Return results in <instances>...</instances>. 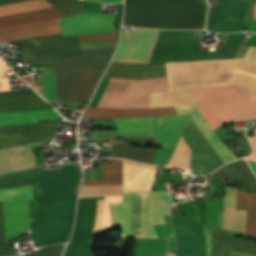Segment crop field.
<instances>
[{"label": "crop field", "instance_id": "crop-field-1", "mask_svg": "<svg viewBox=\"0 0 256 256\" xmlns=\"http://www.w3.org/2000/svg\"><path fill=\"white\" fill-rule=\"evenodd\" d=\"M177 241L176 253H166L168 238L138 239L134 256H207L208 240L205 228L195 218H171ZM219 256H228L230 241L227 233L217 231ZM231 251L256 256V243L234 240Z\"/></svg>", "mask_w": 256, "mask_h": 256}, {"label": "crop field", "instance_id": "crop-field-2", "mask_svg": "<svg viewBox=\"0 0 256 256\" xmlns=\"http://www.w3.org/2000/svg\"><path fill=\"white\" fill-rule=\"evenodd\" d=\"M114 49L79 50V56L55 58L57 102H88Z\"/></svg>", "mask_w": 256, "mask_h": 256}, {"label": "crop field", "instance_id": "crop-field-3", "mask_svg": "<svg viewBox=\"0 0 256 256\" xmlns=\"http://www.w3.org/2000/svg\"><path fill=\"white\" fill-rule=\"evenodd\" d=\"M203 0H126L123 25L201 29Z\"/></svg>", "mask_w": 256, "mask_h": 256}, {"label": "crop field", "instance_id": "crop-field-4", "mask_svg": "<svg viewBox=\"0 0 256 256\" xmlns=\"http://www.w3.org/2000/svg\"><path fill=\"white\" fill-rule=\"evenodd\" d=\"M171 205L169 192H123L122 203L110 204L112 221L121 236L159 238L152 225L165 223Z\"/></svg>", "mask_w": 256, "mask_h": 256}, {"label": "crop field", "instance_id": "crop-field-5", "mask_svg": "<svg viewBox=\"0 0 256 256\" xmlns=\"http://www.w3.org/2000/svg\"><path fill=\"white\" fill-rule=\"evenodd\" d=\"M200 102L198 110L212 127L251 120L256 103L232 85L188 89Z\"/></svg>", "mask_w": 256, "mask_h": 256}, {"label": "crop field", "instance_id": "crop-field-6", "mask_svg": "<svg viewBox=\"0 0 256 256\" xmlns=\"http://www.w3.org/2000/svg\"><path fill=\"white\" fill-rule=\"evenodd\" d=\"M76 193L38 196L31 235L36 245L66 242L72 226Z\"/></svg>", "mask_w": 256, "mask_h": 256}, {"label": "crop field", "instance_id": "crop-field-7", "mask_svg": "<svg viewBox=\"0 0 256 256\" xmlns=\"http://www.w3.org/2000/svg\"><path fill=\"white\" fill-rule=\"evenodd\" d=\"M241 34H229L223 51L196 52L198 31L160 30L149 63L233 59Z\"/></svg>", "mask_w": 256, "mask_h": 256}, {"label": "crop field", "instance_id": "crop-field-8", "mask_svg": "<svg viewBox=\"0 0 256 256\" xmlns=\"http://www.w3.org/2000/svg\"><path fill=\"white\" fill-rule=\"evenodd\" d=\"M193 114V113H192ZM193 122L224 161L225 164L238 159L220 140V138L211 129L199 111L195 110L192 118ZM190 119L184 133L183 137L193 149L198 158L202 161L208 171H212L214 168L224 165L222 160L215 153L213 148L195 126V124ZM192 152V159L190 165L197 172L198 175H204L209 173L204 165L200 162L197 156Z\"/></svg>", "mask_w": 256, "mask_h": 256}, {"label": "crop field", "instance_id": "crop-field-9", "mask_svg": "<svg viewBox=\"0 0 256 256\" xmlns=\"http://www.w3.org/2000/svg\"><path fill=\"white\" fill-rule=\"evenodd\" d=\"M80 181L78 165L44 171L43 166L0 176V187L35 183L36 195L75 192Z\"/></svg>", "mask_w": 256, "mask_h": 256}, {"label": "crop field", "instance_id": "crop-field-10", "mask_svg": "<svg viewBox=\"0 0 256 256\" xmlns=\"http://www.w3.org/2000/svg\"><path fill=\"white\" fill-rule=\"evenodd\" d=\"M164 91H168L167 77L143 80L111 79L97 107H149V93Z\"/></svg>", "mask_w": 256, "mask_h": 256}, {"label": "crop field", "instance_id": "crop-field-11", "mask_svg": "<svg viewBox=\"0 0 256 256\" xmlns=\"http://www.w3.org/2000/svg\"><path fill=\"white\" fill-rule=\"evenodd\" d=\"M33 200L32 186L0 189V202ZM6 241L29 228L27 201L3 203ZM3 208L0 204V256L10 255L3 232Z\"/></svg>", "mask_w": 256, "mask_h": 256}, {"label": "crop field", "instance_id": "crop-field-12", "mask_svg": "<svg viewBox=\"0 0 256 256\" xmlns=\"http://www.w3.org/2000/svg\"><path fill=\"white\" fill-rule=\"evenodd\" d=\"M52 109L36 96L26 93H0V111ZM62 117L54 109L0 112V126L34 123L37 120Z\"/></svg>", "mask_w": 256, "mask_h": 256}, {"label": "crop field", "instance_id": "crop-field-13", "mask_svg": "<svg viewBox=\"0 0 256 256\" xmlns=\"http://www.w3.org/2000/svg\"><path fill=\"white\" fill-rule=\"evenodd\" d=\"M236 189L227 185L224 196L223 229L244 233L247 210L235 211ZM245 233L256 236V195L237 189L236 209H246Z\"/></svg>", "mask_w": 256, "mask_h": 256}, {"label": "crop field", "instance_id": "crop-field-14", "mask_svg": "<svg viewBox=\"0 0 256 256\" xmlns=\"http://www.w3.org/2000/svg\"><path fill=\"white\" fill-rule=\"evenodd\" d=\"M104 198L105 197L79 199L76 224H75L73 236L70 242L90 239L94 234L99 232V230L97 229L100 228V224L102 220L104 200H98L97 206H96V200L104 199ZM115 202H121V196L106 197L103 221H102V226L100 231L103 229L112 227L109 203H115ZM95 206H96V214H95ZM94 214H95V221H94ZM93 221H94V227H93ZM92 227H93V232L95 230L97 231L91 234Z\"/></svg>", "mask_w": 256, "mask_h": 256}, {"label": "crop field", "instance_id": "crop-field-15", "mask_svg": "<svg viewBox=\"0 0 256 256\" xmlns=\"http://www.w3.org/2000/svg\"><path fill=\"white\" fill-rule=\"evenodd\" d=\"M53 7L46 0H30L10 5L0 6V16L15 13L33 11L38 9ZM55 8L38 10L33 12L21 13L16 15L0 17V28L12 27L17 25L35 23L51 19L63 18Z\"/></svg>", "mask_w": 256, "mask_h": 256}, {"label": "crop field", "instance_id": "crop-field-16", "mask_svg": "<svg viewBox=\"0 0 256 256\" xmlns=\"http://www.w3.org/2000/svg\"><path fill=\"white\" fill-rule=\"evenodd\" d=\"M159 30L135 28L122 32L113 62L148 63Z\"/></svg>", "mask_w": 256, "mask_h": 256}, {"label": "crop field", "instance_id": "crop-field-17", "mask_svg": "<svg viewBox=\"0 0 256 256\" xmlns=\"http://www.w3.org/2000/svg\"><path fill=\"white\" fill-rule=\"evenodd\" d=\"M35 45L26 49V61L33 64L54 63V57L78 55L77 36L62 37V34L32 38Z\"/></svg>", "mask_w": 256, "mask_h": 256}, {"label": "crop field", "instance_id": "crop-field-18", "mask_svg": "<svg viewBox=\"0 0 256 256\" xmlns=\"http://www.w3.org/2000/svg\"><path fill=\"white\" fill-rule=\"evenodd\" d=\"M59 123L0 127V149L52 140Z\"/></svg>", "mask_w": 256, "mask_h": 256}, {"label": "crop field", "instance_id": "crop-field-19", "mask_svg": "<svg viewBox=\"0 0 256 256\" xmlns=\"http://www.w3.org/2000/svg\"><path fill=\"white\" fill-rule=\"evenodd\" d=\"M246 0L218 3L210 6L206 30L214 32H235L244 30L243 18Z\"/></svg>", "mask_w": 256, "mask_h": 256}, {"label": "crop field", "instance_id": "crop-field-20", "mask_svg": "<svg viewBox=\"0 0 256 256\" xmlns=\"http://www.w3.org/2000/svg\"><path fill=\"white\" fill-rule=\"evenodd\" d=\"M191 115L154 117L153 133L117 135V137H156L157 146L176 147Z\"/></svg>", "mask_w": 256, "mask_h": 256}, {"label": "crop field", "instance_id": "crop-field-21", "mask_svg": "<svg viewBox=\"0 0 256 256\" xmlns=\"http://www.w3.org/2000/svg\"><path fill=\"white\" fill-rule=\"evenodd\" d=\"M63 36L113 32L114 15L92 13L60 19Z\"/></svg>", "mask_w": 256, "mask_h": 256}, {"label": "crop field", "instance_id": "crop-field-22", "mask_svg": "<svg viewBox=\"0 0 256 256\" xmlns=\"http://www.w3.org/2000/svg\"><path fill=\"white\" fill-rule=\"evenodd\" d=\"M167 76L165 63L119 64L111 63L104 77L143 79Z\"/></svg>", "mask_w": 256, "mask_h": 256}, {"label": "crop field", "instance_id": "crop-field-23", "mask_svg": "<svg viewBox=\"0 0 256 256\" xmlns=\"http://www.w3.org/2000/svg\"><path fill=\"white\" fill-rule=\"evenodd\" d=\"M198 103L187 89L150 94V107L175 106L179 114H192Z\"/></svg>", "mask_w": 256, "mask_h": 256}, {"label": "crop field", "instance_id": "crop-field-24", "mask_svg": "<svg viewBox=\"0 0 256 256\" xmlns=\"http://www.w3.org/2000/svg\"><path fill=\"white\" fill-rule=\"evenodd\" d=\"M62 33L60 21L52 20L0 30V44L38 35Z\"/></svg>", "mask_w": 256, "mask_h": 256}, {"label": "crop field", "instance_id": "crop-field-25", "mask_svg": "<svg viewBox=\"0 0 256 256\" xmlns=\"http://www.w3.org/2000/svg\"><path fill=\"white\" fill-rule=\"evenodd\" d=\"M37 166L31 148L24 146L0 150V174Z\"/></svg>", "mask_w": 256, "mask_h": 256}, {"label": "crop field", "instance_id": "crop-field-26", "mask_svg": "<svg viewBox=\"0 0 256 256\" xmlns=\"http://www.w3.org/2000/svg\"><path fill=\"white\" fill-rule=\"evenodd\" d=\"M211 175L249 187L250 191L256 193V178L245 160L225 165Z\"/></svg>", "mask_w": 256, "mask_h": 256}, {"label": "crop field", "instance_id": "crop-field-27", "mask_svg": "<svg viewBox=\"0 0 256 256\" xmlns=\"http://www.w3.org/2000/svg\"><path fill=\"white\" fill-rule=\"evenodd\" d=\"M176 114L174 107L167 108H144L134 110H117L88 107L84 117L92 118H120L147 115Z\"/></svg>", "mask_w": 256, "mask_h": 256}, {"label": "crop field", "instance_id": "crop-field-28", "mask_svg": "<svg viewBox=\"0 0 256 256\" xmlns=\"http://www.w3.org/2000/svg\"><path fill=\"white\" fill-rule=\"evenodd\" d=\"M111 157L126 158L153 165L155 159V149L136 148L130 145L113 144Z\"/></svg>", "mask_w": 256, "mask_h": 256}, {"label": "crop field", "instance_id": "crop-field-29", "mask_svg": "<svg viewBox=\"0 0 256 256\" xmlns=\"http://www.w3.org/2000/svg\"><path fill=\"white\" fill-rule=\"evenodd\" d=\"M103 180L85 181L83 185H122V161L102 164Z\"/></svg>", "mask_w": 256, "mask_h": 256}, {"label": "crop field", "instance_id": "crop-field-30", "mask_svg": "<svg viewBox=\"0 0 256 256\" xmlns=\"http://www.w3.org/2000/svg\"><path fill=\"white\" fill-rule=\"evenodd\" d=\"M118 127L117 134L152 132L153 117L114 120Z\"/></svg>", "mask_w": 256, "mask_h": 256}, {"label": "crop field", "instance_id": "crop-field-31", "mask_svg": "<svg viewBox=\"0 0 256 256\" xmlns=\"http://www.w3.org/2000/svg\"><path fill=\"white\" fill-rule=\"evenodd\" d=\"M223 200L205 201L206 224L222 230Z\"/></svg>", "mask_w": 256, "mask_h": 256}, {"label": "crop field", "instance_id": "crop-field-32", "mask_svg": "<svg viewBox=\"0 0 256 256\" xmlns=\"http://www.w3.org/2000/svg\"><path fill=\"white\" fill-rule=\"evenodd\" d=\"M38 92L49 103L56 101L55 72L41 73V91Z\"/></svg>", "mask_w": 256, "mask_h": 256}, {"label": "crop field", "instance_id": "crop-field-33", "mask_svg": "<svg viewBox=\"0 0 256 256\" xmlns=\"http://www.w3.org/2000/svg\"><path fill=\"white\" fill-rule=\"evenodd\" d=\"M66 17L85 13L82 2L75 3L74 0H48Z\"/></svg>", "mask_w": 256, "mask_h": 256}, {"label": "crop field", "instance_id": "crop-field-34", "mask_svg": "<svg viewBox=\"0 0 256 256\" xmlns=\"http://www.w3.org/2000/svg\"><path fill=\"white\" fill-rule=\"evenodd\" d=\"M232 85L256 102V79L238 73Z\"/></svg>", "mask_w": 256, "mask_h": 256}, {"label": "crop field", "instance_id": "crop-field-35", "mask_svg": "<svg viewBox=\"0 0 256 256\" xmlns=\"http://www.w3.org/2000/svg\"><path fill=\"white\" fill-rule=\"evenodd\" d=\"M65 256H90V240L71 243Z\"/></svg>", "mask_w": 256, "mask_h": 256}, {"label": "crop field", "instance_id": "crop-field-36", "mask_svg": "<svg viewBox=\"0 0 256 256\" xmlns=\"http://www.w3.org/2000/svg\"><path fill=\"white\" fill-rule=\"evenodd\" d=\"M64 245L45 247L27 256H59Z\"/></svg>", "mask_w": 256, "mask_h": 256}, {"label": "crop field", "instance_id": "crop-field-37", "mask_svg": "<svg viewBox=\"0 0 256 256\" xmlns=\"http://www.w3.org/2000/svg\"><path fill=\"white\" fill-rule=\"evenodd\" d=\"M116 41L79 42V49L115 47Z\"/></svg>", "mask_w": 256, "mask_h": 256}, {"label": "crop field", "instance_id": "crop-field-38", "mask_svg": "<svg viewBox=\"0 0 256 256\" xmlns=\"http://www.w3.org/2000/svg\"><path fill=\"white\" fill-rule=\"evenodd\" d=\"M117 34L118 32L107 33V34L83 35V36H78V38H79V41L116 40Z\"/></svg>", "mask_w": 256, "mask_h": 256}, {"label": "crop field", "instance_id": "crop-field-39", "mask_svg": "<svg viewBox=\"0 0 256 256\" xmlns=\"http://www.w3.org/2000/svg\"><path fill=\"white\" fill-rule=\"evenodd\" d=\"M248 138H249V140L251 142V145L253 147V153H252V155L247 157V160L256 161V137H248ZM253 161H248V163L250 164L253 171L256 172V162H253Z\"/></svg>", "mask_w": 256, "mask_h": 256}, {"label": "crop field", "instance_id": "crop-field-40", "mask_svg": "<svg viewBox=\"0 0 256 256\" xmlns=\"http://www.w3.org/2000/svg\"><path fill=\"white\" fill-rule=\"evenodd\" d=\"M130 143H150L157 142L155 138H125Z\"/></svg>", "mask_w": 256, "mask_h": 256}, {"label": "crop field", "instance_id": "crop-field-41", "mask_svg": "<svg viewBox=\"0 0 256 256\" xmlns=\"http://www.w3.org/2000/svg\"><path fill=\"white\" fill-rule=\"evenodd\" d=\"M0 91H10L6 77H0Z\"/></svg>", "mask_w": 256, "mask_h": 256}, {"label": "crop field", "instance_id": "crop-field-42", "mask_svg": "<svg viewBox=\"0 0 256 256\" xmlns=\"http://www.w3.org/2000/svg\"><path fill=\"white\" fill-rule=\"evenodd\" d=\"M9 69L3 64L0 60V76H4V72L8 71Z\"/></svg>", "mask_w": 256, "mask_h": 256}, {"label": "crop field", "instance_id": "crop-field-43", "mask_svg": "<svg viewBox=\"0 0 256 256\" xmlns=\"http://www.w3.org/2000/svg\"><path fill=\"white\" fill-rule=\"evenodd\" d=\"M19 1H25V0H0V5L19 2Z\"/></svg>", "mask_w": 256, "mask_h": 256}, {"label": "crop field", "instance_id": "crop-field-44", "mask_svg": "<svg viewBox=\"0 0 256 256\" xmlns=\"http://www.w3.org/2000/svg\"><path fill=\"white\" fill-rule=\"evenodd\" d=\"M99 1L110 2V3H118V2H121V0H99Z\"/></svg>", "mask_w": 256, "mask_h": 256}, {"label": "crop field", "instance_id": "crop-field-45", "mask_svg": "<svg viewBox=\"0 0 256 256\" xmlns=\"http://www.w3.org/2000/svg\"><path fill=\"white\" fill-rule=\"evenodd\" d=\"M230 256H246V255H242V254H237V253L231 252Z\"/></svg>", "mask_w": 256, "mask_h": 256}, {"label": "crop field", "instance_id": "crop-field-46", "mask_svg": "<svg viewBox=\"0 0 256 256\" xmlns=\"http://www.w3.org/2000/svg\"><path fill=\"white\" fill-rule=\"evenodd\" d=\"M254 19L256 20V4L254 6Z\"/></svg>", "mask_w": 256, "mask_h": 256}, {"label": "crop field", "instance_id": "crop-field-47", "mask_svg": "<svg viewBox=\"0 0 256 256\" xmlns=\"http://www.w3.org/2000/svg\"><path fill=\"white\" fill-rule=\"evenodd\" d=\"M254 136H256V127H255V130H254Z\"/></svg>", "mask_w": 256, "mask_h": 256}, {"label": "crop field", "instance_id": "crop-field-48", "mask_svg": "<svg viewBox=\"0 0 256 256\" xmlns=\"http://www.w3.org/2000/svg\"><path fill=\"white\" fill-rule=\"evenodd\" d=\"M224 1H229V0H223V2H224Z\"/></svg>", "mask_w": 256, "mask_h": 256}, {"label": "crop field", "instance_id": "crop-field-49", "mask_svg": "<svg viewBox=\"0 0 256 256\" xmlns=\"http://www.w3.org/2000/svg\"><path fill=\"white\" fill-rule=\"evenodd\" d=\"M17 256H21V255H17Z\"/></svg>", "mask_w": 256, "mask_h": 256}]
</instances>
